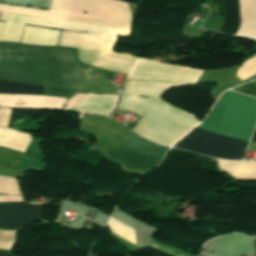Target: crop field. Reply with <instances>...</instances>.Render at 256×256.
Segmentation results:
<instances>
[{
  "label": "crop field",
  "mask_w": 256,
  "mask_h": 256,
  "mask_svg": "<svg viewBox=\"0 0 256 256\" xmlns=\"http://www.w3.org/2000/svg\"><path fill=\"white\" fill-rule=\"evenodd\" d=\"M94 74L75 49L0 43V79L46 86L44 95L70 98Z\"/></svg>",
  "instance_id": "1"
},
{
  "label": "crop field",
  "mask_w": 256,
  "mask_h": 256,
  "mask_svg": "<svg viewBox=\"0 0 256 256\" xmlns=\"http://www.w3.org/2000/svg\"><path fill=\"white\" fill-rule=\"evenodd\" d=\"M255 124L256 99L228 91L198 128L249 142ZM210 132L196 129L174 147L222 159H242L247 142Z\"/></svg>",
  "instance_id": "2"
},
{
  "label": "crop field",
  "mask_w": 256,
  "mask_h": 256,
  "mask_svg": "<svg viewBox=\"0 0 256 256\" xmlns=\"http://www.w3.org/2000/svg\"><path fill=\"white\" fill-rule=\"evenodd\" d=\"M119 109L141 115L135 127L143 137L171 146L199 125L194 116L163 101L122 96Z\"/></svg>",
  "instance_id": "3"
},
{
  "label": "crop field",
  "mask_w": 256,
  "mask_h": 256,
  "mask_svg": "<svg viewBox=\"0 0 256 256\" xmlns=\"http://www.w3.org/2000/svg\"><path fill=\"white\" fill-rule=\"evenodd\" d=\"M7 13L130 28L127 4L115 0H52L49 11L0 5V20Z\"/></svg>",
  "instance_id": "4"
},
{
  "label": "crop field",
  "mask_w": 256,
  "mask_h": 256,
  "mask_svg": "<svg viewBox=\"0 0 256 256\" xmlns=\"http://www.w3.org/2000/svg\"><path fill=\"white\" fill-rule=\"evenodd\" d=\"M117 36L61 31L58 46L78 48L79 61L127 74L134 56L112 52Z\"/></svg>",
  "instance_id": "5"
},
{
  "label": "crop field",
  "mask_w": 256,
  "mask_h": 256,
  "mask_svg": "<svg viewBox=\"0 0 256 256\" xmlns=\"http://www.w3.org/2000/svg\"><path fill=\"white\" fill-rule=\"evenodd\" d=\"M0 22V36L3 28ZM24 24L53 27L64 30L92 32L100 34L124 35L129 36L131 29L109 27L94 24H85L77 22L59 21L51 19H43L36 17L20 16L8 14L5 20L2 36L0 41L19 42L22 35Z\"/></svg>",
  "instance_id": "6"
},
{
  "label": "crop field",
  "mask_w": 256,
  "mask_h": 256,
  "mask_svg": "<svg viewBox=\"0 0 256 256\" xmlns=\"http://www.w3.org/2000/svg\"><path fill=\"white\" fill-rule=\"evenodd\" d=\"M45 87L0 80V93L43 95ZM0 94V107L61 110L68 99Z\"/></svg>",
  "instance_id": "7"
},
{
  "label": "crop field",
  "mask_w": 256,
  "mask_h": 256,
  "mask_svg": "<svg viewBox=\"0 0 256 256\" xmlns=\"http://www.w3.org/2000/svg\"><path fill=\"white\" fill-rule=\"evenodd\" d=\"M121 147L125 149L108 150V158L143 172L158 164L166 149L129 134H126Z\"/></svg>",
  "instance_id": "8"
},
{
  "label": "crop field",
  "mask_w": 256,
  "mask_h": 256,
  "mask_svg": "<svg viewBox=\"0 0 256 256\" xmlns=\"http://www.w3.org/2000/svg\"><path fill=\"white\" fill-rule=\"evenodd\" d=\"M201 72V70L193 68L165 65L136 58L128 73V78L193 83Z\"/></svg>",
  "instance_id": "9"
},
{
  "label": "crop field",
  "mask_w": 256,
  "mask_h": 256,
  "mask_svg": "<svg viewBox=\"0 0 256 256\" xmlns=\"http://www.w3.org/2000/svg\"><path fill=\"white\" fill-rule=\"evenodd\" d=\"M41 202L0 203V228L14 229L28 227L40 217Z\"/></svg>",
  "instance_id": "10"
},
{
  "label": "crop field",
  "mask_w": 256,
  "mask_h": 256,
  "mask_svg": "<svg viewBox=\"0 0 256 256\" xmlns=\"http://www.w3.org/2000/svg\"><path fill=\"white\" fill-rule=\"evenodd\" d=\"M118 97L119 96L93 95L87 93L74 109L109 117Z\"/></svg>",
  "instance_id": "11"
},
{
  "label": "crop field",
  "mask_w": 256,
  "mask_h": 256,
  "mask_svg": "<svg viewBox=\"0 0 256 256\" xmlns=\"http://www.w3.org/2000/svg\"><path fill=\"white\" fill-rule=\"evenodd\" d=\"M177 85L180 84L128 80L123 95L138 97L143 96L161 100L160 96L165 90Z\"/></svg>",
  "instance_id": "12"
},
{
  "label": "crop field",
  "mask_w": 256,
  "mask_h": 256,
  "mask_svg": "<svg viewBox=\"0 0 256 256\" xmlns=\"http://www.w3.org/2000/svg\"><path fill=\"white\" fill-rule=\"evenodd\" d=\"M59 31L25 26L22 42L30 45L56 46Z\"/></svg>",
  "instance_id": "13"
},
{
  "label": "crop field",
  "mask_w": 256,
  "mask_h": 256,
  "mask_svg": "<svg viewBox=\"0 0 256 256\" xmlns=\"http://www.w3.org/2000/svg\"><path fill=\"white\" fill-rule=\"evenodd\" d=\"M224 25L218 33L235 36L239 26L240 17L237 0H221Z\"/></svg>",
  "instance_id": "14"
},
{
  "label": "crop field",
  "mask_w": 256,
  "mask_h": 256,
  "mask_svg": "<svg viewBox=\"0 0 256 256\" xmlns=\"http://www.w3.org/2000/svg\"><path fill=\"white\" fill-rule=\"evenodd\" d=\"M27 134L0 127V146L24 153L30 139L32 138Z\"/></svg>",
  "instance_id": "15"
},
{
  "label": "crop field",
  "mask_w": 256,
  "mask_h": 256,
  "mask_svg": "<svg viewBox=\"0 0 256 256\" xmlns=\"http://www.w3.org/2000/svg\"><path fill=\"white\" fill-rule=\"evenodd\" d=\"M220 169H223L233 177H256V161L238 162L218 159Z\"/></svg>",
  "instance_id": "16"
},
{
  "label": "crop field",
  "mask_w": 256,
  "mask_h": 256,
  "mask_svg": "<svg viewBox=\"0 0 256 256\" xmlns=\"http://www.w3.org/2000/svg\"><path fill=\"white\" fill-rule=\"evenodd\" d=\"M108 226L110 231L135 244V230L113 218H110Z\"/></svg>",
  "instance_id": "17"
},
{
  "label": "crop field",
  "mask_w": 256,
  "mask_h": 256,
  "mask_svg": "<svg viewBox=\"0 0 256 256\" xmlns=\"http://www.w3.org/2000/svg\"><path fill=\"white\" fill-rule=\"evenodd\" d=\"M17 230H0V249L11 251L16 242Z\"/></svg>",
  "instance_id": "18"
},
{
  "label": "crop field",
  "mask_w": 256,
  "mask_h": 256,
  "mask_svg": "<svg viewBox=\"0 0 256 256\" xmlns=\"http://www.w3.org/2000/svg\"><path fill=\"white\" fill-rule=\"evenodd\" d=\"M22 155L23 154L0 149V163L16 168Z\"/></svg>",
  "instance_id": "19"
},
{
  "label": "crop field",
  "mask_w": 256,
  "mask_h": 256,
  "mask_svg": "<svg viewBox=\"0 0 256 256\" xmlns=\"http://www.w3.org/2000/svg\"><path fill=\"white\" fill-rule=\"evenodd\" d=\"M232 90L249 95V96L256 97V80L246 83Z\"/></svg>",
  "instance_id": "20"
},
{
  "label": "crop field",
  "mask_w": 256,
  "mask_h": 256,
  "mask_svg": "<svg viewBox=\"0 0 256 256\" xmlns=\"http://www.w3.org/2000/svg\"><path fill=\"white\" fill-rule=\"evenodd\" d=\"M150 246L154 247L156 249H159L161 251H164L166 253H169V254H171L173 256H184V254H185V253L177 251V250H175V249H173L171 247H168V246H166V245H164V244H162L160 242H157V241H155L153 239H151Z\"/></svg>",
  "instance_id": "21"
},
{
  "label": "crop field",
  "mask_w": 256,
  "mask_h": 256,
  "mask_svg": "<svg viewBox=\"0 0 256 256\" xmlns=\"http://www.w3.org/2000/svg\"><path fill=\"white\" fill-rule=\"evenodd\" d=\"M24 173H25V171H23V170L8 169V168L0 166V175H3V176L19 178V177L23 176Z\"/></svg>",
  "instance_id": "22"
},
{
  "label": "crop field",
  "mask_w": 256,
  "mask_h": 256,
  "mask_svg": "<svg viewBox=\"0 0 256 256\" xmlns=\"http://www.w3.org/2000/svg\"><path fill=\"white\" fill-rule=\"evenodd\" d=\"M12 110L0 109V126L7 127Z\"/></svg>",
  "instance_id": "23"
},
{
  "label": "crop field",
  "mask_w": 256,
  "mask_h": 256,
  "mask_svg": "<svg viewBox=\"0 0 256 256\" xmlns=\"http://www.w3.org/2000/svg\"><path fill=\"white\" fill-rule=\"evenodd\" d=\"M87 94V93H86ZM85 95V93L82 94H77L75 96H73L68 103L66 104V106L64 107V109H73L76 104L82 99V97Z\"/></svg>",
  "instance_id": "24"
},
{
  "label": "crop field",
  "mask_w": 256,
  "mask_h": 256,
  "mask_svg": "<svg viewBox=\"0 0 256 256\" xmlns=\"http://www.w3.org/2000/svg\"><path fill=\"white\" fill-rule=\"evenodd\" d=\"M122 1H125L127 3L137 4L138 0H122Z\"/></svg>",
  "instance_id": "25"
},
{
  "label": "crop field",
  "mask_w": 256,
  "mask_h": 256,
  "mask_svg": "<svg viewBox=\"0 0 256 256\" xmlns=\"http://www.w3.org/2000/svg\"><path fill=\"white\" fill-rule=\"evenodd\" d=\"M0 256H12V255H10V254H8V253H6V252L0 251Z\"/></svg>",
  "instance_id": "26"
},
{
  "label": "crop field",
  "mask_w": 256,
  "mask_h": 256,
  "mask_svg": "<svg viewBox=\"0 0 256 256\" xmlns=\"http://www.w3.org/2000/svg\"><path fill=\"white\" fill-rule=\"evenodd\" d=\"M251 140L256 141V131H255V133H254V135H253V137H252V139H251Z\"/></svg>",
  "instance_id": "27"
},
{
  "label": "crop field",
  "mask_w": 256,
  "mask_h": 256,
  "mask_svg": "<svg viewBox=\"0 0 256 256\" xmlns=\"http://www.w3.org/2000/svg\"><path fill=\"white\" fill-rule=\"evenodd\" d=\"M255 251H256V239H255Z\"/></svg>",
  "instance_id": "28"
}]
</instances>
